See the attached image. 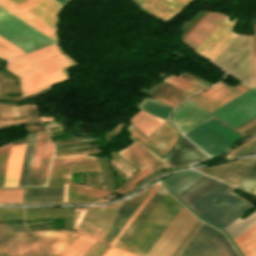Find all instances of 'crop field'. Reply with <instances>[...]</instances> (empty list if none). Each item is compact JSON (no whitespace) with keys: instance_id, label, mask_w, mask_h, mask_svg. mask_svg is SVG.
<instances>
[{"instance_id":"8a807250","label":"crop field","mask_w":256,"mask_h":256,"mask_svg":"<svg viewBox=\"0 0 256 256\" xmlns=\"http://www.w3.org/2000/svg\"><path fill=\"white\" fill-rule=\"evenodd\" d=\"M74 65L55 43L10 60L7 68L19 77L25 96L69 80L66 69Z\"/></svg>"},{"instance_id":"ac0d7876","label":"crop field","mask_w":256,"mask_h":256,"mask_svg":"<svg viewBox=\"0 0 256 256\" xmlns=\"http://www.w3.org/2000/svg\"><path fill=\"white\" fill-rule=\"evenodd\" d=\"M234 189L221 182L189 206L204 219L224 228L253 206L232 193Z\"/></svg>"},{"instance_id":"34b2d1b8","label":"crop field","mask_w":256,"mask_h":256,"mask_svg":"<svg viewBox=\"0 0 256 256\" xmlns=\"http://www.w3.org/2000/svg\"><path fill=\"white\" fill-rule=\"evenodd\" d=\"M181 206L166 192L123 249L145 256Z\"/></svg>"},{"instance_id":"412701ff","label":"crop field","mask_w":256,"mask_h":256,"mask_svg":"<svg viewBox=\"0 0 256 256\" xmlns=\"http://www.w3.org/2000/svg\"><path fill=\"white\" fill-rule=\"evenodd\" d=\"M212 62L238 81L254 85L253 36L239 35Z\"/></svg>"},{"instance_id":"f4fd0767","label":"crop field","mask_w":256,"mask_h":256,"mask_svg":"<svg viewBox=\"0 0 256 256\" xmlns=\"http://www.w3.org/2000/svg\"><path fill=\"white\" fill-rule=\"evenodd\" d=\"M177 256H239L219 230L201 223Z\"/></svg>"},{"instance_id":"dd49c442","label":"crop field","mask_w":256,"mask_h":256,"mask_svg":"<svg viewBox=\"0 0 256 256\" xmlns=\"http://www.w3.org/2000/svg\"><path fill=\"white\" fill-rule=\"evenodd\" d=\"M184 135L211 156L224 152L233 142L243 138L215 117Z\"/></svg>"},{"instance_id":"e52e79f7","label":"crop field","mask_w":256,"mask_h":256,"mask_svg":"<svg viewBox=\"0 0 256 256\" xmlns=\"http://www.w3.org/2000/svg\"><path fill=\"white\" fill-rule=\"evenodd\" d=\"M0 36L26 53L54 43L1 7Z\"/></svg>"},{"instance_id":"d8731c3e","label":"crop field","mask_w":256,"mask_h":256,"mask_svg":"<svg viewBox=\"0 0 256 256\" xmlns=\"http://www.w3.org/2000/svg\"><path fill=\"white\" fill-rule=\"evenodd\" d=\"M197 220L182 206L146 256H171Z\"/></svg>"},{"instance_id":"5a996713","label":"crop field","mask_w":256,"mask_h":256,"mask_svg":"<svg viewBox=\"0 0 256 256\" xmlns=\"http://www.w3.org/2000/svg\"><path fill=\"white\" fill-rule=\"evenodd\" d=\"M210 113L233 128L240 125L256 115V87Z\"/></svg>"},{"instance_id":"3316defc","label":"crop field","mask_w":256,"mask_h":256,"mask_svg":"<svg viewBox=\"0 0 256 256\" xmlns=\"http://www.w3.org/2000/svg\"><path fill=\"white\" fill-rule=\"evenodd\" d=\"M0 256H36L22 224H0Z\"/></svg>"},{"instance_id":"28ad6ade","label":"crop field","mask_w":256,"mask_h":256,"mask_svg":"<svg viewBox=\"0 0 256 256\" xmlns=\"http://www.w3.org/2000/svg\"><path fill=\"white\" fill-rule=\"evenodd\" d=\"M120 204L102 207H88L77 232L102 241Z\"/></svg>"},{"instance_id":"d1516ede","label":"crop field","mask_w":256,"mask_h":256,"mask_svg":"<svg viewBox=\"0 0 256 256\" xmlns=\"http://www.w3.org/2000/svg\"><path fill=\"white\" fill-rule=\"evenodd\" d=\"M250 88H252V86L245 84H240L232 88L220 81L218 84L190 99L210 112Z\"/></svg>"},{"instance_id":"22f410ed","label":"crop field","mask_w":256,"mask_h":256,"mask_svg":"<svg viewBox=\"0 0 256 256\" xmlns=\"http://www.w3.org/2000/svg\"><path fill=\"white\" fill-rule=\"evenodd\" d=\"M234 23L227 19L211 33L195 50L211 61L227 47L237 36L232 31Z\"/></svg>"},{"instance_id":"cbeb9de0","label":"crop field","mask_w":256,"mask_h":256,"mask_svg":"<svg viewBox=\"0 0 256 256\" xmlns=\"http://www.w3.org/2000/svg\"><path fill=\"white\" fill-rule=\"evenodd\" d=\"M56 30L57 15L64 5L56 0H10Z\"/></svg>"},{"instance_id":"5142ce71","label":"crop field","mask_w":256,"mask_h":256,"mask_svg":"<svg viewBox=\"0 0 256 256\" xmlns=\"http://www.w3.org/2000/svg\"><path fill=\"white\" fill-rule=\"evenodd\" d=\"M212 117L214 116L189 100L172 113L171 120L184 134Z\"/></svg>"},{"instance_id":"d9b57169","label":"crop field","mask_w":256,"mask_h":256,"mask_svg":"<svg viewBox=\"0 0 256 256\" xmlns=\"http://www.w3.org/2000/svg\"><path fill=\"white\" fill-rule=\"evenodd\" d=\"M126 130H128L132 135L142 140L161 155L167 153L170 150L177 138V131L167 121L149 138L132 125Z\"/></svg>"},{"instance_id":"733c2abd","label":"crop field","mask_w":256,"mask_h":256,"mask_svg":"<svg viewBox=\"0 0 256 256\" xmlns=\"http://www.w3.org/2000/svg\"><path fill=\"white\" fill-rule=\"evenodd\" d=\"M143 11L167 22L193 0H131Z\"/></svg>"},{"instance_id":"4a817a6b","label":"crop field","mask_w":256,"mask_h":256,"mask_svg":"<svg viewBox=\"0 0 256 256\" xmlns=\"http://www.w3.org/2000/svg\"><path fill=\"white\" fill-rule=\"evenodd\" d=\"M255 161L256 157L196 170L236 186Z\"/></svg>"},{"instance_id":"bc2a9ffb","label":"crop field","mask_w":256,"mask_h":256,"mask_svg":"<svg viewBox=\"0 0 256 256\" xmlns=\"http://www.w3.org/2000/svg\"><path fill=\"white\" fill-rule=\"evenodd\" d=\"M118 154L126 158L139 169L147 165L155 170L170 166L139 141Z\"/></svg>"},{"instance_id":"214f88e0","label":"crop field","mask_w":256,"mask_h":256,"mask_svg":"<svg viewBox=\"0 0 256 256\" xmlns=\"http://www.w3.org/2000/svg\"><path fill=\"white\" fill-rule=\"evenodd\" d=\"M150 189L151 188H148L141 192L140 194H138L137 196L133 197L132 199L122 202L113 222L111 223L103 239V242L108 244L111 243V241L123 227V225L129 219V217L132 215V213L135 211V209L138 207V205L150 191Z\"/></svg>"},{"instance_id":"92a150f3","label":"crop field","mask_w":256,"mask_h":256,"mask_svg":"<svg viewBox=\"0 0 256 256\" xmlns=\"http://www.w3.org/2000/svg\"><path fill=\"white\" fill-rule=\"evenodd\" d=\"M226 17L209 12L182 41L195 49Z\"/></svg>"},{"instance_id":"dafd665d","label":"crop field","mask_w":256,"mask_h":256,"mask_svg":"<svg viewBox=\"0 0 256 256\" xmlns=\"http://www.w3.org/2000/svg\"><path fill=\"white\" fill-rule=\"evenodd\" d=\"M33 233L48 246L52 256H60L79 236V234L62 230L38 231Z\"/></svg>"},{"instance_id":"00972430","label":"crop field","mask_w":256,"mask_h":256,"mask_svg":"<svg viewBox=\"0 0 256 256\" xmlns=\"http://www.w3.org/2000/svg\"><path fill=\"white\" fill-rule=\"evenodd\" d=\"M34 115H38L36 105H24L21 107L0 105V119L13 118L17 116H34ZM23 122L39 123L41 121L38 117H27L23 119L0 121V128L23 123Z\"/></svg>"},{"instance_id":"a9b5d70f","label":"crop field","mask_w":256,"mask_h":256,"mask_svg":"<svg viewBox=\"0 0 256 256\" xmlns=\"http://www.w3.org/2000/svg\"><path fill=\"white\" fill-rule=\"evenodd\" d=\"M26 144L12 145L3 186H17Z\"/></svg>"},{"instance_id":"4177f3b9","label":"crop field","mask_w":256,"mask_h":256,"mask_svg":"<svg viewBox=\"0 0 256 256\" xmlns=\"http://www.w3.org/2000/svg\"><path fill=\"white\" fill-rule=\"evenodd\" d=\"M0 6L5 8L9 12H11L12 14L17 16L18 18H20L21 20H23L24 22H26L27 24L35 28L36 30L40 31L41 33H43L53 41L55 42L57 41L56 34L53 29L43 24L42 22H40L39 20H37L27 12L23 11L22 9H20L19 7L11 3L10 1L0 0Z\"/></svg>"},{"instance_id":"730fd06b","label":"crop field","mask_w":256,"mask_h":256,"mask_svg":"<svg viewBox=\"0 0 256 256\" xmlns=\"http://www.w3.org/2000/svg\"><path fill=\"white\" fill-rule=\"evenodd\" d=\"M64 185L57 188L23 189V202H63Z\"/></svg>"},{"instance_id":"eef30255","label":"crop field","mask_w":256,"mask_h":256,"mask_svg":"<svg viewBox=\"0 0 256 256\" xmlns=\"http://www.w3.org/2000/svg\"><path fill=\"white\" fill-rule=\"evenodd\" d=\"M219 182L204 175L177 195L189 205Z\"/></svg>"},{"instance_id":"ae1a2a85","label":"crop field","mask_w":256,"mask_h":256,"mask_svg":"<svg viewBox=\"0 0 256 256\" xmlns=\"http://www.w3.org/2000/svg\"><path fill=\"white\" fill-rule=\"evenodd\" d=\"M48 135L38 132L28 186L38 185Z\"/></svg>"},{"instance_id":"d3111659","label":"crop field","mask_w":256,"mask_h":256,"mask_svg":"<svg viewBox=\"0 0 256 256\" xmlns=\"http://www.w3.org/2000/svg\"><path fill=\"white\" fill-rule=\"evenodd\" d=\"M109 193L111 192L69 183L67 202L94 201L106 197Z\"/></svg>"},{"instance_id":"750c4746","label":"crop field","mask_w":256,"mask_h":256,"mask_svg":"<svg viewBox=\"0 0 256 256\" xmlns=\"http://www.w3.org/2000/svg\"><path fill=\"white\" fill-rule=\"evenodd\" d=\"M160 188L162 190H164L161 186L159 187V189ZM158 190L153 195V197L149 200V202L146 204V206L143 208V210L139 213V215L136 217V219L132 222V224L129 226V228L126 230V232L122 235V237L116 243L115 247H118L120 249L123 248V246L129 240V238L133 235V233L136 231V229L139 227V225L142 223V221L146 218V216L149 214V212L152 210V208L156 205V203L159 201V199L163 195L161 193H157Z\"/></svg>"},{"instance_id":"bd1437ed","label":"crop field","mask_w":256,"mask_h":256,"mask_svg":"<svg viewBox=\"0 0 256 256\" xmlns=\"http://www.w3.org/2000/svg\"><path fill=\"white\" fill-rule=\"evenodd\" d=\"M203 174L189 170L161 180L176 194L200 178Z\"/></svg>"},{"instance_id":"1d83c4d3","label":"crop field","mask_w":256,"mask_h":256,"mask_svg":"<svg viewBox=\"0 0 256 256\" xmlns=\"http://www.w3.org/2000/svg\"><path fill=\"white\" fill-rule=\"evenodd\" d=\"M100 171L98 166H80L50 170L47 186L66 184L70 182V172Z\"/></svg>"},{"instance_id":"120bbe31","label":"crop field","mask_w":256,"mask_h":256,"mask_svg":"<svg viewBox=\"0 0 256 256\" xmlns=\"http://www.w3.org/2000/svg\"><path fill=\"white\" fill-rule=\"evenodd\" d=\"M130 122L145 134L150 135L154 132L164 121L152 116L142 110H140L136 115H134Z\"/></svg>"},{"instance_id":"d32e631a","label":"crop field","mask_w":256,"mask_h":256,"mask_svg":"<svg viewBox=\"0 0 256 256\" xmlns=\"http://www.w3.org/2000/svg\"><path fill=\"white\" fill-rule=\"evenodd\" d=\"M234 240L245 256H256V224Z\"/></svg>"},{"instance_id":"5866460e","label":"crop field","mask_w":256,"mask_h":256,"mask_svg":"<svg viewBox=\"0 0 256 256\" xmlns=\"http://www.w3.org/2000/svg\"><path fill=\"white\" fill-rule=\"evenodd\" d=\"M80 165H98L94 157H88V155L74 156V157H62L53 158L51 161L50 169L63 168L69 166Z\"/></svg>"},{"instance_id":"028f5c9d","label":"crop field","mask_w":256,"mask_h":256,"mask_svg":"<svg viewBox=\"0 0 256 256\" xmlns=\"http://www.w3.org/2000/svg\"><path fill=\"white\" fill-rule=\"evenodd\" d=\"M36 134H37V132L32 133L28 137V142H27V146H26V151H25V156H24V161H23V165H22V170H21V175H20L18 186H27V184H28V178H29V173H30V167H31V162H32Z\"/></svg>"},{"instance_id":"e1f06a70","label":"crop field","mask_w":256,"mask_h":256,"mask_svg":"<svg viewBox=\"0 0 256 256\" xmlns=\"http://www.w3.org/2000/svg\"><path fill=\"white\" fill-rule=\"evenodd\" d=\"M256 223V211H254L251 215H249L247 218L241 220L236 219L234 222H232L230 225H228L225 229L229 232V234L232 236V238H236L238 235L243 233L245 230L250 228L252 225Z\"/></svg>"},{"instance_id":"0bd39190","label":"crop field","mask_w":256,"mask_h":256,"mask_svg":"<svg viewBox=\"0 0 256 256\" xmlns=\"http://www.w3.org/2000/svg\"><path fill=\"white\" fill-rule=\"evenodd\" d=\"M139 108L155 114L163 119H167L168 115L173 110V107L152 99H145Z\"/></svg>"},{"instance_id":"b80d0937","label":"crop field","mask_w":256,"mask_h":256,"mask_svg":"<svg viewBox=\"0 0 256 256\" xmlns=\"http://www.w3.org/2000/svg\"><path fill=\"white\" fill-rule=\"evenodd\" d=\"M94 242L95 240L80 235L61 256H82Z\"/></svg>"},{"instance_id":"c035e120","label":"crop field","mask_w":256,"mask_h":256,"mask_svg":"<svg viewBox=\"0 0 256 256\" xmlns=\"http://www.w3.org/2000/svg\"><path fill=\"white\" fill-rule=\"evenodd\" d=\"M163 82L170 84L172 86H175L179 89H182L184 91H187L191 94L203 89L179 76L170 75V77H166Z\"/></svg>"},{"instance_id":"c21b1889","label":"crop field","mask_w":256,"mask_h":256,"mask_svg":"<svg viewBox=\"0 0 256 256\" xmlns=\"http://www.w3.org/2000/svg\"><path fill=\"white\" fill-rule=\"evenodd\" d=\"M255 153H256V137L246 141L239 147L232 150L230 153L227 154L225 159L230 157H240V156H245V155H250Z\"/></svg>"},{"instance_id":"03da06ac","label":"crop field","mask_w":256,"mask_h":256,"mask_svg":"<svg viewBox=\"0 0 256 256\" xmlns=\"http://www.w3.org/2000/svg\"><path fill=\"white\" fill-rule=\"evenodd\" d=\"M25 54L23 51L0 37V56L5 59H10L19 55Z\"/></svg>"},{"instance_id":"b54c1fbb","label":"crop field","mask_w":256,"mask_h":256,"mask_svg":"<svg viewBox=\"0 0 256 256\" xmlns=\"http://www.w3.org/2000/svg\"><path fill=\"white\" fill-rule=\"evenodd\" d=\"M22 202V189L0 190V203Z\"/></svg>"},{"instance_id":"5d738f31","label":"crop field","mask_w":256,"mask_h":256,"mask_svg":"<svg viewBox=\"0 0 256 256\" xmlns=\"http://www.w3.org/2000/svg\"><path fill=\"white\" fill-rule=\"evenodd\" d=\"M160 185L155 184L152 191L149 193V195L146 197V199L142 202V204L139 206V208L135 211V213L132 215V217L129 219V221L125 224V226L122 228V230L118 233V235L115 237V239L112 241L111 245H115V243L118 241V239L121 237V235L125 232V230L128 228V226L131 224V222L135 219V217L138 215V213L142 210V208L145 206V204L148 202V200L152 197V195L155 193V191L158 189Z\"/></svg>"},{"instance_id":"d23c7cc5","label":"crop field","mask_w":256,"mask_h":256,"mask_svg":"<svg viewBox=\"0 0 256 256\" xmlns=\"http://www.w3.org/2000/svg\"><path fill=\"white\" fill-rule=\"evenodd\" d=\"M10 143L0 146V186L3 184L9 149H10Z\"/></svg>"},{"instance_id":"425ffa30","label":"crop field","mask_w":256,"mask_h":256,"mask_svg":"<svg viewBox=\"0 0 256 256\" xmlns=\"http://www.w3.org/2000/svg\"><path fill=\"white\" fill-rule=\"evenodd\" d=\"M52 151H53V143L48 138V143H47V148H46V153H45V158H44V163H43V168H42V173H41V178H40L39 185H45L47 170H48V164H49L50 157L52 155Z\"/></svg>"},{"instance_id":"25e5ab78","label":"crop field","mask_w":256,"mask_h":256,"mask_svg":"<svg viewBox=\"0 0 256 256\" xmlns=\"http://www.w3.org/2000/svg\"><path fill=\"white\" fill-rule=\"evenodd\" d=\"M110 246L96 241L83 256H102Z\"/></svg>"},{"instance_id":"73cf0c24","label":"crop field","mask_w":256,"mask_h":256,"mask_svg":"<svg viewBox=\"0 0 256 256\" xmlns=\"http://www.w3.org/2000/svg\"><path fill=\"white\" fill-rule=\"evenodd\" d=\"M37 256H50L46 247L36 238H29Z\"/></svg>"},{"instance_id":"89e229c0","label":"crop field","mask_w":256,"mask_h":256,"mask_svg":"<svg viewBox=\"0 0 256 256\" xmlns=\"http://www.w3.org/2000/svg\"><path fill=\"white\" fill-rule=\"evenodd\" d=\"M103 256H136V255L111 247Z\"/></svg>"},{"instance_id":"1f2cbd36","label":"crop field","mask_w":256,"mask_h":256,"mask_svg":"<svg viewBox=\"0 0 256 256\" xmlns=\"http://www.w3.org/2000/svg\"><path fill=\"white\" fill-rule=\"evenodd\" d=\"M201 221H197V223L194 225V227L191 229V231L188 233V235L185 237V239L181 242V244L178 246V248L175 250V252L172 254V256H175L178 251L181 249V247L184 245V243L187 241V239L190 237V235L193 233V231L196 229V227L199 225Z\"/></svg>"},{"instance_id":"dbb93151","label":"crop field","mask_w":256,"mask_h":256,"mask_svg":"<svg viewBox=\"0 0 256 256\" xmlns=\"http://www.w3.org/2000/svg\"><path fill=\"white\" fill-rule=\"evenodd\" d=\"M255 124H256V119H255V120H253L252 122L248 123L247 125H245V126L241 127L240 129L236 130V131H238V132H240V133H241V132H243V131L247 130L248 128H250V127L254 126Z\"/></svg>"},{"instance_id":"0fb4a251","label":"crop field","mask_w":256,"mask_h":256,"mask_svg":"<svg viewBox=\"0 0 256 256\" xmlns=\"http://www.w3.org/2000/svg\"><path fill=\"white\" fill-rule=\"evenodd\" d=\"M241 134H243L244 136L256 134V125Z\"/></svg>"},{"instance_id":"1d79db26","label":"crop field","mask_w":256,"mask_h":256,"mask_svg":"<svg viewBox=\"0 0 256 256\" xmlns=\"http://www.w3.org/2000/svg\"><path fill=\"white\" fill-rule=\"evenodd\" d=\"M255 33V55H256V25H253Z\"/></svg>"},{"instance_id":"9d1cf04e","label":"crop field","mask_w":256,"mask_h":256,"mask_svg":"<svg viewBox=\"0 0 256 256\" xmlns=\"http://www.w3.org/2000/svg\"><path fill=\"white\" fill-rule=\"evenodd\" d=\"M91 146H95V145H91ZM91 146H83V147H91ZM74 148H82V147H74ZM74 148H66V149H74ZM66 149H59V150H66ZM58 151V150H56Z\"/></svg>"},{"instance_id":"447ae74e","label":"crop field","mask_w":256,"mask_h":256,"mask_svg":"<svg viewBox=\"0 0 256 256\" xmlns=\"http://www.w3.org/2000/svg\"><path fill=\"white\" fill-rule=\"evenodd\" d=\"M255 71H256V56H255Z\"/></svg>"},{"instance_id":"0765c3eb","label":"crop field","mask_w":256,"mask_h":256,"mask_svg":"<svg viewBox=\"0 0 256 256\" xmlns=\"http://www.w3.org/2000/svg\"><path fill=\"white\" fill-rule=\"evenodd\" d=\"M58 1L62 3V2H64L65 0H58ZM61 3H60V4H61Z\"/></svg>"},{"instance_id":"db79e9e6","label":"crop field","mask_w":256,"mask_h":256,"mask_svg":"<svg viewBox=\"0 0 256 256\" xmlns=\"http://www.w3.org/2000/svg\"><path fill=\"white\" fill-rule=\"evenodd\" d=\"M1 77H2V76H0V81H1Z\"/></svg>"}]
</instances>
